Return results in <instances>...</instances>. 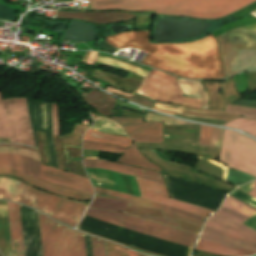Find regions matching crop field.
Here are the masks:
<instances>
[{"label": "crop field", "instance_id": "8a807250", "mask_svg": "<svg viewBox=\"0 0 256 256\" xmlns=\"http://www.w3.org/2000/svg\"><path fill=\"white\" fill-rule=\"evenodd\" d=\"M149 31L127 32L106 38L118 49L134 47L149 52L142 64L168 73L191 78H224V69L216 39L210 35L200 41L152 45L148 43Z\"/></svg>", "mask_w": 256, "mask_h": 256}, {"label": "crop field", "instance_id": "ac0d7876", "mask_svg": "<svg viewBox=\"0 0 256 256\" xmlns=\"http://www.w3.org/2000/svg\"><path fill=\"white\" fill-rule=\"evenodd\" d=\"M256 0H90L89 10L122 9L157 14L217 19Z\"/></svg>", "mask_w": 256, "mask_h": 256}, {"label": "crop field", "instance_id": "34b2d1b8", "mask_svg": "<svg viewBox=\"0 0 256 256\" xmlns=\"http://www.w3.org/2000/svg\"><path fill=\"white\" fill-rule=\"evenodd\" d=\"M255 215L256 209L228 196L207 220L200 239L256 252V232L241 224Z\"/></svg>", "mask_w": 256, "mask_h": 256}, {"label": "crop field", "instance_id": "412701ff", "mask_svg": "<svg viewBox=\"0 0 256 256\" xmlns=\"http://www.w3.org/2000/svg\"><path fill=\"white\" fill-rule=\"evenodd\" d=\"M95 191L129 199H110L94 197L90 207L110 210H119L133 215L141 216L151 220L159 221L176 228L187 230L193 233H199L205 217L171 208L165 205L153 203L140 199L135 196L95 187Z\"/></svg>", "mask_w": 256, "mask_h": 256}, {"label": "crop field", "instance_id": "f4fd0767", "mask_svg": "<svg viewBox=\"0 0 256 256\" xmlns=\"http://www.w3.org/2000/svg\"><path fill=\"white\" fill-rule=\"evenodd\" d=\"M137 94H140L142 96H145L147 98H151L160 102L178 103V104H183V105L196 107V108H200V103H201V99L182 97L183 92L179 88L177 79L175 77L165 73L154 71V70L148 75V77L146 78L142 86L137 91ZM154 107L173 111V112H178V113H181L183 111H191V112L216 114V115H208V114L189 113V112L182 113L183 116L210 118V119H218V120H225V121H230L240 116L238 114L229 113V112L196 109V108L175 106V105L159 103V102H155ZM154 107H152V109L157 110L159 112L170 114V115L175 114L167 111L158 110Z\"/></svg>", "mask_w": 256, "mask_h": 256}, {"label": "crop field", "instance_id": "dd49c442", "mask_svg": "<svg viewBox=\"0 0 256 256\" xmlns=\"http://www.w3.org/2000/svg\"><path fill=\"white\" fill-rule=\"evenodd\" d=\"M0 198L12 199L17 202L40 209L50 217L76 226L87 206L76 201L50 195L17 180L0 177Z\"/></svg>", "mask_w": 256, "mask_h": 256}, {"label": "crop field", "instance_id": "e52e79f7", "mask_svg": "<svg viewBox=\"0 0 256 256\" xmlns=\"http://www.w3.org/2000/svg\"><path fill=\"white\" fill-rule=\"evenodd\" d=\"M239 28L256 31V23ZM239 28L228 31L217 37L226 70V77L239 72L236 70L256 69V49H239V47L256 48V32H250ZM236 56L237 60L235 63ZM232 70L236 72H232Z\"/></svg>", "mask_w": 256, "mask_h": 256}, {"label": "crop field", "instance_id": "d8731c3e", "mask_svg": "<svg viewBox=\"0 0 256 256\" xmlns=\"http://www.w3.org/2000/svg\"><path fill=\"white\" fill-rule=\"evenodd\" d=\"M43 256H85L83 233L38 212Z\"/></svg>", "mask_w": 256, "mask_h": 256}, {"label": "crop field", "instance_id": "5a996713", "mask_svg": "<svg viewBox=\"0 0 256 256\" xmlns=\"http://www.w3.org/2000/svg\"><path fill=\"white\" fill-rule=\"evenodd\" d=\"M85 217H89L92 219L142 232L191 247L193 246L197 238L196 235L159 225L153 222H149L143 219H139L133 216H129L124 213L88 208Z\"/></svg>", "mask_w": 256, "mask_h": 256}, {"label": "crop field", "instance_id": "3316defc", "mask_svg": "<svg viewBox=\"0 0 256 256\" xmlns=\"http://www.w3.org/2000/svg\"><path fill=\"white\" fill-rule=\"evenodd\" d=\"M0 138L36 147L25 98H9L1 102L0 93Z\"/></svg>", "mask_w": 256, "mask_h": 256}, {"label": "crop field", "instance_id": "28ad6ade", "mask_svg": "<svg viewBox=\"0 0 256 256\" xmlns=\"http://www.w3.org/2000/svg\"><path fill=\"white\" fill-rule=\"evenodd\" d=\"M0 168L16 169L83 192L94 194L89 180L56 170L27 157L0 153Z\"/></svg>", "mask_w": 256, "mask_h": 256}, {"label": "crop field", "instance_id": "d1516ede", "mask_svg": "<svg viewBox=\"0 0 256 256\" xmlns=\"http://www.w3.org/2000/svg\"><path fill=\"white\" fill-rule=\"evenodd\" d=\"M199 125L163 126L164 144L136 142L137 148H155L177 151L216 160L220 149L198 146Z\"/></svg>", "mask_w": 256, "mask_h": 256}, {"label": "crop field", "instance_id": "22f410ed", "mask_svg": "<svg viewBox=\"0 0 256 256\" xmlns=\"http://www.w3.org/2000/svg\"><path fill=\"white\" fill-rule=\"evenodd\" d=\"M251 139L225 129L219 161L256 177V142Z\"/></svg>", "mask_w": 256, "mask_h": 256}, {"label": "crop field", "instance_id": "cbeb9de0", "mask_svg": "<svg viewBox=\"0 0 256 256\" xmlns=\"http://www.w3.org/2000/svg\"><path fill=\"white\" fill-rule=\"evenodd\" d=\"M164 176V175H163ZM173 199L215 210L227 195L180 179L164 176Z\"/></svg>", "mask_w": 256, "mask_h": 256}, {"label": "crop field", "instance_id": "5142ce71", "mask_svg": "<svg viewBox=\"0 0 256 256\" xmlns=\"http://www.w3.org/2000/svg\"><path fill=\"white\" fill-rule=\"evenodd\" d=\"M129 176V175H128ZM133 194L135 196L148 199L157 203L165 204L171 207H175L181 210H185L191 213H195L201 216L207 217L212 211H208L202 208L191 206L185 203H181L175 200H171L168 197L166 187L157 183L142 180L136 177L129 176Z\"/></svg>", "mask_w": 256, "mask_h": 256}, {"label": "crop field", "instance_id": "d9b57169", "mask_svg": "<svg viewBox=\"0 0 256 256\" xmlns=\"http://www.w3.org/2000/svg\"><path fill=\"white\" fill-rule=\"evenodd\" d=\"M0 174H8L15 177H18L29 184L44 189L46 191L59 194L62 196H66L73 199H79V200H88L92 198V195L86 194L80 191H76L70 188H66L33 176H30L28 174H25L21 171H15V170H8V169H0Z\"/></svg>", "mask_w": 256, "mask_h": 256}, {"label": "crop field", "instance_id": "733c2abd", "mask_svg": "<svg viewBox=\"0 0 256 256\" xmlns=\"http://www.w3.org/2000/svg\"><path fill=\"white\" fill-rule=\"evenodd\" d=\"M83 162L85 167L104 168L112 171L129 174L132 176H136V177L157 182L160 184H164L161 175L159 173H155L152 171L138 169V168H134L126 165H121V164L109 162L106 160L83 159Z\"/></svg>", "mask_w": 256, "mask_h": 256}, {"label": "crop field", "instance_id": "4a817a6b", "mask_svg": "<svg viewBox=\"0 0 256 256\" xmlns=\"http://www.w3.org/2000/svg\"><path fill=\"white\" fill-rule=\"evenodd\" d=\"M118 122L128 135L162 137V123L142 122V118H111Z\"/></svg>", "mask_w": 256, "mask_h": 256}, {"label": "crop field", "instance_id": "bc2a9ffb", "mask_svg": "<svg viewBox=\"0 0 256 256\" xmlns=\"http://www.w3.org/2000/svg\"><path fill=\"white\" fill-rule=\"evenodd\" d=\"M11 247L13 256H24L19 205L7 201Z\"/></svg>", "mask_w": 256, "mask_h": 256}, {"label": "crop field", "instance_id": "214f88e0", "mask_svg": "<svg viewBox=\"0 0 256 256\" xmlns=\"http://www.w3.org/2000/svg\"><path fill=\"white\" fill-rule=\"evenodd\" d=\"M135 15L120 13V12H110V13H72L57 11L56 18H76L90 22H96L100 24L111 23V22H121L128 20Z\"/></svg>", "mask_w": 256, "mask_h": 256}, {"label": "crop field", "instance_id": "92a150f3", "mask_svg": "<svg viewBox=\"0 0 256 256\" xmlns=\"http://www.w3.org/2000/svg\"><path fill=\"white\" fill-rule=\"evenodd\" d=\"M195 249L222 256H252L256 254L253 252L222 246L201 240L198 241V244Z\"/></svg>", "mask_w": 256, "mask_h": 256}, {"label": "crop field", "instance_id": "dafd665d", "mask_svg": "<svg viewBox=\"0 0 256 256\" xmlns=\"http://www.w3.org/2000/svg\"><path fill=\"white\" fill-rule=\"evenodd\" d=\"M178 83L184 96L202 98L201 108L208 109V95L201 81H188L178 78Z\"/></svg>", "mask_w": 256, "mask_h": 256}, {"label": "crop field", "instance_id": "00972430", "mask_svg": "<svg viewBox=\"0 0 256 256\" xmlns=\"http://www.w3.org/2000/svg\"><path fill=\"white\" fill-rule=\"evenodd\" d=\"M120 163H126L131 164L155 171L161 172V169L147 161L135 148V145L133 144L118 160Z\"/></svg>", "mask_w": 256, "mask_h": 256}, {"label": "crop field", "instance_id": "a9b5d70f", "mask_svg": "<svg viewBox=\"0 0 256 256\" xmlns=\"http://www.w3.org/2000/svg\"><path fill=\"white\" fill-rule=\"evenodd\" d=\"M83 139L109 143V144L124 146V147L130 146L132 143V140H130L129 138H123V137H118L114 135L104 134V133L96 132L90 129L85 133Z\"/></svg>", "mask_w": 256, "mask_h": 256}, {"label": "crop field", "instance_id": "4177f3b9", "mask_svg": "<svg viewBox=\"0 0 256 256\" xmlns=\"http://www.w3.org/2000/svg\"><path fill=\"white\" fill-rule=\"evenodd\" d=\"M210 98L209 109L224 110L223 99L221 94H218L217 90L220 89L217 82H203Z\"/></svg>", "mask_w": 256, "mask_h": 256}, {"label": "crop field", "instance_id": "730fd06b", "mask_svg": "<svg viewBox=\"0 0 256 256\" xmlns=\"http://www.w3.org/2000/svg\"><path fill=\"white\" fill-rule=\"evenodd\" d=\"M96 61L104 63V64H108V65H111V66H114V67L122 68V69H125V70H128V71H131L133 73L142 75L144 77L148 74V71H146V70H143L141 68H138V67H135L133 65L127 64L125 62L114 60V59L107 58V57H103V56L98 55Z\"/></svg>", "mask_w": 256, "mask_h": 256}, {"label": "crop field", "instance_id": "eef30255", "mask_svg": "<svg viewBox=\"0 0 256 256\" xmlns=\"http://www.w3.org/2000/svg\"><path fill=\"white\" fill-rule=\"evenodd\" d=\"M223 126L244 130L256 138V120H251L246 118H237Z\"/></svg>", "mask_w": 256, "mask_h": 256}, {"label": "crop field", "instance_id": "ae1a2a85", "mask_svg": "<svg viewBox=\"0 0 256 256\" xmlns=\"http://www.w3.org/2000/svg\"><path fill=\"white\" fill-rule=\"evenodd\" d=\"M83 149L95 151H108L112 153H122L126 149L121 147L109 146L91 141H83Z\"/></svg>", "mask_w": 256, "mask_h": 256}, {"label": "crop field", "instance_id": "d3111659", "mask_svg": "<svg viewBox=\"0 0 256 256\" xmlns=\"http://www.w3.org/2000/svg\"><path fill=\"white\" fill-rule=\"evenodd\" d=\"M144 121H163L166 125L194 124V123H189V122H185V121H180V120L160 116V115L150 113V112L145 117Z\"/></svg>", "mask_w": 256, "mask_h": 256}, {"label": "crop field", "instance_id": "750c4746", "mask_svg": "<svg viewBox=\"0 0 256 256\" xmlns=\"http://www.w3.org/2000/svg\"><path fill=\"white\" fill-rule=\"evenodd\" d=\"M0 152L20 154V155L31 157L40 162V155L35 152H31L23 149H17V148H10V147H0Z\"/></svg>", "mask_w": 256, "mask_h": 256}, {"label": "crop field", "instance_id": "bd1437ed", "mask_svg": "<svg viewBox=\"0 0 256 256\" xmlns=\"http://www.w3.org/2000/svg\"><path fill=\"white\" fill-rule=\"evenodd\" d=\"M212 127L200 125L199 145L209 146Z\"/></svg>", "mask_w": 256, "mask_h": 256}, {"label": "crop field", "instance_id": "1d83c4d3", "mask_svg": "<svg viewBox=\"0 0 256 256\" xmlns=\"http://www.w3.org/2000/svg\"><path fill=\"white\" fill-rule=\"evenodd\" d=\"M226 111L235 112V113H239L241 115L247 116V117L256 118V109L228 105Z\"/></svg>", "mask_w": 256, "mask_h": 256}, {"label": "crop field", "instance_id": "120bbe31", "mask_svg": "<svg viewBox=\"0 0 256 256\" xmlns=\"http://www.w3.org/2000/svg\"><path fill=\"white\" fill-rule=\"evenodd\" d=\"M93 256H105L103 240L91 236Z\"/></svg>", "mask_w": 256, "mask_h": 256}, {"label": "crop field", "instance_id": "d32e631a", "mask_svg": "<svg viewBox=\"0 0 256 256\" xmlns=\"http://www.w3.org/2000/svg\"><path fill=\"white\" fill-rule=\"evenodd\" d=\"M223 131H224L223 128H218V127L214 128L213 127L210 146L220 148Z\"/></svg>", "mask_w": 256, "mask_h": 256}, {"label": "crop field", "instance_id": "5866460e", "mask_svg": "<svg viewBox=\"0 0 256 256\" xmlns=\"http://www.w3.org/2000/svg\"><path fill=\"white\" fill-rule=\"evenodd\" d=\"M106 244H107V247H109L111 245L117 246L116 244L107 242V241H106ZM107 251H118L119 253H127V249L123 248L121 246L109 247V248H107ZM107 256H128V254H118L117 252H107Z\"/></svg>", "mask_w": 256, "mask_h": 256}, {"label": "crop field", "instance_id": "028f5c9d", "mask_svg": "<svg viewBox=\"0 0 256 256\" xmlns=\"http://www.w3.org/2000/svg\"><path fill=\"white\" fill-rule=\"evenodd\" d=\"M57 106L58 105L52 103V119H53L52 135H57L58 136Z\"/></svg>", "mask_w": 256, "mask_h": 256}, {"label": "crop field", "instance_id": "e1f06a70", "mask_svg": "<svg viewBox=\"0 0 256 256\" xmlns=\"http://www.w3.org/2000/svg\"><path fill=\"white\" fill-rule=\"evenodd\" d=\"M135 141H146V142H162L161 138H144V137H130Z\"/></svg>", "mask_w": 256, "mask_h": 256}, {"label": "crop field", "instance_id": "0bd39190", "mask_svg": "<svg viewBox=\"0 0 256 256\" xmlns=\"http://www.w3.org/2000/svg\"><path fill=\"white\" fill-rule=\"evenodd\" d=\"M0 146L18 147V148H23V149H27V150H31V151L38 152V150H36V149L28 148V147H24V146H18V145L0 144ZM38 153H39V152H38Z\"/></svg>", "mask_w": 256, "mask_h": 256}, {"label": "crop field", "instance_id": "b80d0937", "mask_svg": "<svg viewBox=\"0 0 256 256\" xmlns=\"http://www.w3.org/2000/svg\"><path fill=\"white\" fill-rule=\"evenodd\" d=\"M254 182L256 183V181H254ZM253 188H254V189H253L248 195H250V196L256 198V184H255V186H254Z\"/></svg>", "mask_w": 256, "mask_h": 256}, {"label": "crop field", "instance_id": "c035e120", "mask_svg": "<svg viewBox=\"0 0 256 256\" xmlns=\"http://www.w3.org/2000/svg\"><path fill=\"white\" fill-rule=\"evenodd\" d=\"M128 251H129V256H136V252H133V251H131L129 249H128Z\"/></svg>", "mask_w": 256, "mask_h": 256}, {"label": "crop field", "instance_id": "c21b1889", "mask_svg": "<svg viewBox=\"0 0 256 256\" xmlns=\"http://www.w3.org/2000/svg\"><path fill=\"white\" fill-rule=\"evenodd\" d=\"M137 256H146V255L137 252Z\"/></svg>", "mask_w": 256, "mask_h": 256}, {"label": "crop field", "instance_id": "03da06ac", "mask_svg": "<svg viewBox=\"0 0 256 256\" xmlns=\"http://www.w3.org/2000/svg\"><path fill=\"white\" fill-rule=\"evenodd\" d=\"M250 14H252V15L256 16V10H255V11H253L252 13H250Z\"/></svg>", "mask_w": 256, "mask_h": 256}, {"label": "crop field", "instance_id": "b54c1fbb", "mask_svg": "<svg viewBox=\"0 0 256 256\" xmlns=\"http://www.w3.org/2000/svg\"><path fill=\"white\" fill-rule=\"evenodd\" d=\"M77 159H81V158H72V160H77Z\"/></svg>", "mask_w": 256, "mask_h": 256}, {"label": "crop field", "instance_id": "5d738f31", "mask_svg": "<svg viewBox=\"0 0 256 256\" xmlns=\"http://www.w3.org/2000/svg\"><path fill=\"white\" fill-rule=\"evenodd\" d=\"M148 256V255H147Z\"/></svg>", "mask_w": 256, "mask_h": 256}]
</instances>
